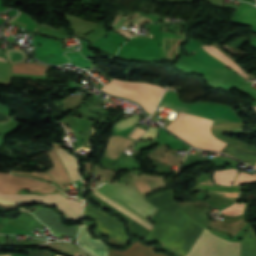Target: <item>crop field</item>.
<instances>
[{
    "mask_svg": "<svg viewBox=\"0 0 256 256\" xmlns=\"http://www.w3.org/2000/svg\"><path fill=\"white\" fill-rule=\"evenodd\" d=\"M240 256H256V234L252 226L241 241Z\"/></svg>",
    "mask_w": 256,
    "mask_h": 256,
    "instance_id": "10",
    "label": "crop field"
},
{
    "mask_svg": "<svg viewBox=\"0 0 256 256\" xmlns=\"http://www.w3.org/2000/svg\"><path fill=\"white\" fill-rule=\"evenodd\" d=\"M2 204H26V203H45L56 206L61 210L66 218L79 219L82 213V203L67 200L65 196L59 194L38 195H7L0 194Z\"/></svg>",
    "mask_w": 256,
    "mask_h": 256,
    "instance_id": "5",
    "label": "crop field"
},
{
    "mask_svg": "<svg viewBox=\"0 0 256 256\" xmlns=\"http://www.w3.org/2000/svg\"><path fill=\"white\" fill-rule=\"evenodd\" d=\"M0 256H9V255H0Z\"/></svg>",
    "mask_w": 256,
    "mask_h": 256,
    "instance_id": "30",
    "label": "crop field"
},
{
    "mask_svg": "<svg viewBox=\"0 0 256 256\" xmlns=\"http://www.w3.org/2000/svg\"><path fill=\"white\" fill-rule=\"evenodd\" d=\"M244 205L245 204L235 203L232 206H230L229 208L223 210L222 213H225V214H228L231 216L242 214L243 210H244Z\"/></svg>",
    "mask_w": 256,
    "mask_h": 256,
    "instance_id": "20",
    "label": "crop field"
},
{
    "mask_svg": "<svg viewBox=\"0 0 256 256\" xmlns=\"http://www.w3.org/2000/svg\"><path fill=\"white\" fill-rule=\"evenodd\" d=\"M157 134H158V130H157V129H155V128H153V129L149 128V129L146 131V133L142 135L141 138L155 139L156 136H157Z\"/></svg>",
    "mask_w": 256,
    "mask_h": 256,
    "instance_id": "22",
    "label": "crop field"
},
{
    "mask_svg": "<svg viewBox=\"0 0 256 256\" xmlns=\"http://www.w3.org/2000/svg\"><path fill=\"white\" fill-rule=\"evenodd\" d=\"M204 229L178 209L164 225L155 224L147 241H159L162 246L178 249L186 256ZM239 245L240 242H235L234 256H238ZM233 246L234 242L223 240L205 229L187 256H233Z\"/></svg>",
    "mask_w": 256,
    "mask_h": 256,
    "instance_id": "1",
    "label": "crop field"
},
{
    "mask_svg": "<svg viewBox=\"0 0 256 256\" xmlns=\"http://www.w3.org/2000/svg\"><path fill=\"white\" fill-rule=\"evenodd\" d=\"M211 124L212 121L180 112L166 128L197 147L220 151L226 143L210 133Z\"/></svg>",
    "mask_w": 256,
    "mask_h": 256,
    "instance_id": "3",
    "label": "crop field"
},
{
    "mask_svg": "<svg viewBox=\"0 0 256 256\" xmlns=\"http://www.w3.org/2000/svg\"><path fill=\"white\" fill-rule=\"evenodd\" d=\"M221 152L232 155L238 159H241L251 165H255L256 163V154L253 153H246L238 148H235L229 144H227Z\"/></svg>",
    "mask_w": 256,
    "mask_h": 256,
    "instance_id": "13",
    "label": "crop field"
},
{
    "mask_svg": "<svg viewBox=\"0 0 256 256\" xmlns=\"http://www.w3.org/2000/svg\"><path fill=\"white\" fill-rule=\"evenodd\" d=\"M121 21V19H118V18H116V20L114 21V23L111 25V26H113V27H115L116 28V26L119 24V22ZM124 22V20H122L121 21V23L118 25V27H117V29L119 28V26L122 24ZM126 21L123 23V25H125L126 26Z\"/></svg>",
    "mask_w": 256,
    "mask_h": 256,
    "instance_id": "26",
    "label": "crop field"
},
{
    "mask_svg": "<svg viewBox=\"0 0 256 256\" xmlns=\"http://www.w3.org/2000/svg\"><path fill=\"white\" fill-rule=\"evenodd\" d=\"M5 56L8 58L10 64L14 62H21L25 59V54L18 50H8Z\"/></svg>",
    "mask_w": 256,
    "mask_h": 256,
    "instance_id": "19",
    "label": "crop field"
},
{
    "mask_svg": "<svg viewBox=\"0 0 256 256\" xmlns=\"http://www.w3.org/2000/svg\"><path fill=\"white\" fill-rule=\"evenodd\" d=\"M97 191L104 194L108 198L112 199L113 201H115L119 205L123 206L127 210L131 211L132 213H134L138 217L142 218L146 222H148L147 220L158 210V208H156L152 204H150L136 190V188L132 187V186L107 183V184H104ZM97 191L94 195L101 198L102 200L109 203L116 209L120 210L121 212L128 215L129 217L133 218L134 220L138 221L139 223L146 226L147 228L152 229L153 226H151V225H154V224H152L150 222H148V223H150L151 225L146 223L142 219L138 218L131 212L127 211L126 209L119 206L118 204H116L115 202L108 199L107 197H105L104 195L100 194ZM94 195L91 197H93L94 199H96L97 201H99L100 203H102L103 205H105L106 207H108L109 209H111L112 211H114L115 213H117L118 215H120L121 217H123L129 221V229H130L131 233L146 239V237L148 236V234L150 233L151 230H149L146 227L142 226L141 224L137 223L133 219L124 215L123 213L116 210L115 208L108 205L107 203H105L104 201H102L101 199L97 198Z\"/></svg>",
    "mask_w": 256,
    "mask_h": 256,
    "instance_id": "2",
    "label": "crop field"
},
{
    "mask_svg": "<svg viewBox=\"0 0 256 256\" xmlns=\"http://www.w3.org/2000/svg\"><path fill=\"white\" fill-rule=\"evenodd\" d=\"M202 48L204 50H206L209 54H211L214 57H216L217 59H219V60L225 62L226 64H228L232 69L236 70L243 77H245V78L247 77L248 74H246L239 66H237L235 64V62H233L224 53H222L221 51H219L215 47H213V46H203Z\"/></svg>",
    "mask_w": 256,
    "mask_h": 256,
    "instance_id": "15",
    "label": "crop field"
},
{
    "mask_svg": "<svg viewBox=\"0 0 256 256\" xmlns=\"http://www.w3.org/2000/svg\"><path fill=\"white\" fill-rule=\"evenodd\" d=\"M3 225L0 224V229L2 228Z\"/></svg>",
    "mask_w": 256,
    "mask_h": 256,
    "instance_id": "31",
    "label": "crop field"
},
{
    "mask_svg": "<svg viewBox=\"0 0 256 256\" xmlns=\"http://www.w3.org/2000/svg\"><path fill=\"white\" fill-rule=\"evenodd\" d=\"M147 199L158 208L170 205L175 202L174 192L172 190L155 194L153 196L147 197Z\"/></svg>",
    "mask_w": 256,
    "mask_h": 256,
    "instance_id": "14",
    "label": "crop field"
},
{
    "mask_svg": "<svg viewBox=\"0 0 256 256\" xmlns=\"http://www.w3.org/2000/svg\"><path fill=\"white\" fill-rule=\"evenodd\" d=\"M88 229L89 227L82 225L78 238L81 245L95 256H107V249H109V247L100 239H93L91 234L88 232Z\"/></svg>",
    "mask_w": 256,
    "mask_h": 256,
    "instance_id": "8",
    "label": "crop field"
},
{
    "mask_svg": "<svg viewBox=\"0 0 256 256\" xmlns=\"http://www.w3.org/2000/svg\"><path fill=\"white\" fill-rule=\"evenodd\" d=\"M84 215L95 219L98 223V227L93 232L97 235L107 234L111 236L110 242L125 245L130 239L124 233L123 224L116 218L87 206L84 208Z\"/></svg>",
    "mask_w": 256,
    "mask_h": 256,
    "instance_id": "6",
    "label": "crop field"
},
{
    "mask_svg": "<svg viewBox=\"0 0 256 256\" xmlns=\"http://www.w3.org/2000/svg\"><path fill=\"white\" fill-rule=\"evenodd\" d=\"M253 1H255V0H253ZM256 2V1H255Z\"/></svg>",
    "mask_w": 256,
    "mask_h": 256,
    "instance_id": "32",
    "label": "crop field"
},
{
    "mask_svg": "<svg viewBox=\"0 0 256 256\" xmlns=\"http://www.w3.org/2000/svg\"><path fill=\"white\" fill-rule=\"evenodd\" d=\"M237 171L234 169L224 170L215 172L213 177L216 181V184L220 185H231Z\"/></svg>",
    "mask_w": 256,
    "mask_h": 256,
    "instance_id": "16",
    "label": "crop field"
},
{
    "mask_svg": "<svg viewBox=\"0 0 256 256\" xmlns=\"http://www.w3.org/2000/svg\"><path fill=\"white\" fill-rule=\"evenodd\" d=\"M57 151L62 158L72 181L79 180L78 166L76 162V158L73 155H70L69 151L63 150L62 148H57Z\"/></svg>",
    "mask_w": 256,
    "mask_h": 256,
    "instance_id": "11",
    "label": "crop field"
},
{
    "mask_svg": "<svg viewBox=\"0 0 256 256\" xmlns=\"http://www.w3.org/2000/svg\"><path fill=\"white\" fill-rule=\"evenodd\" d=\"M155 246H142L138 241L126 251L108 250V256H164L153 252Z\"/></svg>",
    "mask_w": 256,
    "mask_h": 256,
    "instance_id": "9",
    "label": "crop field"
},
{
    "mask_svg": "<svg viewBox=\"0 0 256 256\" xmlns=\"http://www.w3.org/2000/svg\"><path fill=\"white\" fill-rule=\"evenodd\" d=\"M252 181H256V174L255 173L252 176L250 174L240 172V174L238 175L234 185L240 184V183H243V182H252Z\"/></svg>",
    "mask_w": 256,
    "mask_h": 256,
    "instance_id": "21",
    "label": "crop field"
},
{
    "mask_svg": "<svg viewBox=\"0 0 256 256\" xmlns=\"http://www.w3.org/2000/svg\"><path fill=\"white\" fill-rule=\"evenodd\" d=\"M117 31L121 32L122 34L126 35L127 37L132 36V34L126 32V31H124V30H122V29H120V28H119Z\"/></svg>",
    "mask_w": 256,
    "mask_h": 256,
    "instance_id": "27",
    "label": "crop field"
},
{
    "mask_svg": "<svg viewBox=\"0 0 256 256\" xmlns=\"http://www.w3.org/2000/svg\"><path fill=\"white\" fill-rule=\"evenodd\" d=\"M32 213L58 237L63 234L75 236L79 228V225L65 227L61 222L60 216L53 209H46L39 206Z\"/></svg>",
    "mask_w": 256,
    "mask_h": 256,
    "instance_id": "7",
    "label": "crop field"
},
{
    "mask_svg": "<svg viewBox=\"0 0 256 256\" xmlns=\"http://www.w3.org/2000/svg\"><path fill=\"white\" fill-rule=\"evenodd\" d=\"M251 108L256 112V106H252Z\"/></svg>",
    "mask_w": 256,
    "mask_h": 256,
    "instance_id": "28",
    "label": "crop field"
},
{
    "mask_svg": "<svg viewBox=\"0 0 256 256\" xmlns=\"http://www.w3.org/2000/svg\"><path fill=\"white\" fill-rule=\"evenodd\" d=\"M31 256H56L52 253L46 252V251H35V252H30Z\"/></svg>",
    "mask_w": 256,
    "mask_h": 256,
    "instance_id": "25",
    "label": "crop field"
},
{
    "mask_svg": "<svg viewBox=\"0 0 256 256\" xmlns=\"http://www.w3.org/2000/svg\"><path fill=\"white\" fill-rule=\"evenodd\" d=\"M139 119L140 118L136 114H133V115L123 119L114 125L115 131L118 132L122 129H126V128L130 127L131 125L137 123V120H139Z\"/></svg>",
    "mask_w": 256,
    "mask_h": 256,
    "instance_id": "18",
    "label": "crop field"
},
{
    "mask_svg": "<svg viewBox=\"0 0 256 256\" xmlns=\"http://www.w3.org/2000/svg\"><path fill=\"white\" fill-rule=\"evenodd\" d=\"M131 21L136 23L137 25H139L140 23H142L144 21H150V19L145 18L141 15H138V16L134 17Z\"/></svg>",
    "mask_w": 256,
    "mask_h": 256,
    "instance_id": "24",
    "label": "crop field"
},
{
    "mask_svg": "<svg viewBox=\"0 0 256 256\" xmlns=\"http://www.w3.org/2000/svg\"><path fill=\"white\" fill-rule=\"evenodd\" d=\"M102 90L141 103L151 113L164 89L148 83L127 82L113 79ZM139 103V104H140Z\"/></svg>",
    "mask_w": 256,
    "mask_h": 256,
    "instance_id": "4",
    "label": "crop field"
},
{
    "mask_svg": "<svg viewBox=\"0 0 256 256\" xmlns=\"http://www.w3.org/2000/svg\"><path fill=\"white\" fill-rule=\"evenodd\" d=\"M177 208L178 207L176 204L162 208L156 213V215L151 220L156 223L162 224L166 221V219L170 215L171 211L175 210Z\"/></svg>",
    "mask_w": 256,
    "mask_h": 256,
    "instance_id": "17",
    "label": "crop field"
},
{
    "mask_svg": "<svg viewBox=\"0 0 256 256\" xmlns=\"http://www.w3.org/2000/svg\"><path fill=\"white\" fill-rule=\"evenodd\" d=\"M0 61H5L6 62L5 58H1V57H0Z\"/></svg>",
    "mask_w": 256,
    "mask_h": 256,
    "instance_id": "29",
    "label": "crop field"
},
{
    "mask_svg": "<svg viewBox=\"0 0 256 256\" xmlns=\"http://www.w3.org/2000/svg\"><path fill=\"white\" fill-rule=\"evenodd\" d=\"M256 166V165H255Z\"/></svg>",
    "mask_w": 256,
    "mask_h": 256,
    "instance_id": "33",
    "label": "crop field"
},
{
    "mask_svg": "<svg viewBox=\"0 0 256 256\" xmlns=\"http://www.w3.org/2000/svg\"><path fill=\"white\" fill-rule=\"evenodd\" d=\"M46 69L47 66L36 63H17L12 66V72L33 75H45Z\"/></svg>",
    "mask_w": 256,
    "mask_h": 256,
    "instance_id": "12",
    "label": "crop field"
},
{
    "mask_svg": "<svg viewBox=\"0 0 256 256\" xmlns=\"http://www.w3.org/2000/svg\"><path fill=\"white\" fill-rule=\"evenodd\" d=\"M142 130V128H139V127H137V126H135L132 130H131V132H130V134L128 135V137H131V138H133L137 133H139L140 131ZM144 129L139 133V134H137L134 138L135 139H137L140 135H142L143 133H144Z\"/></svg>",
    "mask_w": 256,
    "mask_h": 256,
    "instance_id": "23",
    "label": "crop field"
}]
</instances>
